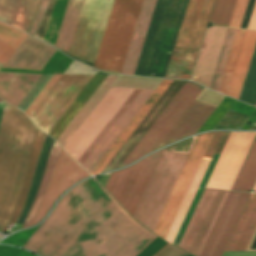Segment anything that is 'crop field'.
Here are the masks:
<instances>
[{
	"label": "crop field",
	"instance_id": "crop-field-1",
	"mask_svg": "<svg viewBox=\"0 0 256 256\" xmlns=\"http://www.w3.org/2000/svg\"><path fill=\"white\" fill-rule=\"evenodd\" d=\"M156 237L92 178L61 199L23 248L40 256H137Z\"/></svg>",
	"mask_w": 256,
	"mask_h": 256
},
{
	"label": "crop field",
	"instance_id": "crop-field-2",
	"mask_svg": "<svg viewBox=\"0 0 256 256\" xmlns=\"http://www.w3.org/2000/svg\"><path fill=\"white\" fill-rule=\"evenodd\" d=\"M213 133L214 132L199 135L189 155L187 153L163 151L159 158L154 172L133 215L135 219H137L142 225L150 230H153L164 207V204L170 194V191L176 181V178L182 168V165L188 155L177 178V181L171 191V194L165 204V207L159 217V220L153 230V232L162 239H165L170 229V226L175 218V215L181 205V202L186 194V191L192 181V178L197 170V167L203 157V154ZM223 133L224 132H215L209 143L204 157L165 239L169 243H172L178 231V228L185 216V213L191 203V200L198 188V185Z\"/></svg>",
	"mask_w": 256,
	"mask_h": 256
},
{
	"label": "crop field",
	"instance_id": "crop-field-3",
	"mask_svg": "<svg viewBox=\"0 0 256 256\" xmlns=\"http://www.w3.org/2000/svg\"><path fill=\"white\" fill-rule=\"evenodd\" d=\"M143 89L110 87L94 110L63 147L80 165H84L108 136ZM154 90H144L109 136L83 166L90 172Z\"/></svg>",
	"mask_w": 256,
	"mask_h": 256
},
{
	"label": "crop field",
	"instance_id": "crop-field-4",
	"mask_svg": "<svg viewBox=\"0 0 256 256\" xmlns=\"http://www.w3.org/2000/svg\"><path fill=\"white\" fill-rule=\"evenodd\" d=\"M36 131L22 112L7 105L0 130V227L6 228L15 209Z\"/></svg>",
	"mask_w": 256,
	"mask_h": 256
},
{
	"label": "crop field",
	"instance_id": "crop-field-5",
	"mask_svg": "<svg viewBox=\"0 0 256 256\" xmlns=\"http://www.w3.org/2000/svg\"><path fill=\"white\" fill-rule=\"evenodd\" d=\"M189 0H157L134 75L164 77Z\"/></svg>",
	"mask_w": 256,
	"mask_h": 256
},
{
	"label": "crop field",
	"instance_id": "crop-field-6",
	"mask_svg": "<svg viewBox=\"0 0 256 256\" xmlns=\"http://www.w3.org/2000/svg\"><path fill=\"white\" fill-rule=\"evenodd\" d=\"M143 0H115L94 67L120 73Z\"/></svg>",
	"mask_w": 256,
	"mask_h": 256
},
{
	"label": "crop field",
	"instance_id": "crop-field-7",
	"mask_svg": "<svg viewBox=\"0 0 256 256\" xmlns=\"http://www.w3.org/2000/svg\"><path fill=\"white\" fill-rule=\"evenodd\" d=\"M214 0H190L179 36L165 77L169 76L173 61L193 69ZM191 71L173 63L170 76L188 74ZM191 74L171 78L189 79Z\"/></svg>",
	"mask_w": 256,
	"mask_h": 256
},
{
	"label": "crop field",
	"instance_id": "crop-field-8",
	"mask_svg": "<svg viewBox=\"0 0 256 256\" xmlns=\"http://www.w3.org/2000/svg\"><path fill=\"white\" fill-rule=\"evenodd\" d=\"M97 0H85L70 45L69 54L79 57ZM113 0H98L80 59L94 63Z\"/></svg>",
	"mask_w": 256,
	"mask_h": 256
},
{
	"label": "crop field",
	"instance_id": "crop-field-9",
	"mask_svg": "<svg viewBox=\"0 0 256 256\" xmlns=\"http://www.w3.org/2000/svg\"><path fill=\"white\" fill-rule=\"evenodd\" d=\"M202 90L203 88L186 82L120 167L155 150Z\"/></svg>",
	"mask_w": 256,
	"mask_h": 256
},
{
	"label": "crop field",
	"instance_id": "crop-field-10",
	"mask_svg": "<svg viewBox=\"0 0 256 256\" xmlns=\"http://www.w3.org/2000/svg\"><path fill=\"white\" fill-rule=\"evenodd\" d=\"M162 150L128 168L113 172L109 178L105 189L131 216L137 207Z\"/></svg>",
	"mask_w": 256,
	"mask_h": 256
},
{
	"label": "crop field",
	"instance_id": "crop-field-11",
	"mask_svg": "<svg viewBox=\"0 0 256 256\" xmlns=\"http://www.w3.org/2000/svg\"><path fill=\"white\" fill-rule=\"evenodd\" d=\"M92 76L62 75L30 117L40 128L49 132ZM35 123L39 130L48 133Z\"/></svg>",
	"mask_w": 256,
	"mask_h": 256
},
{
	"label": "crop field",
	"instance_id": "crop-field-12",
	"mask_svg": "<svg viewBox=\"0 0 256 256\" xmlns=\"http://www.w3.org/2000/svg\"><path fill=\"white\" fill-rule=\"evenodd\" d=\"M229 192L205 189L179 248L199 256Z\"/></svg>",
	"mask_w": 256,
	"mask_h": 256
},
{
	"label": "crop field",
	"instance_id": "crop-field-13",
	"mask_svg": "<svg viewBox=\"0 0 256 256\" xmlns=\"http://www.w3.org/2000/svg\"><path fill=\"white\" fill-rule=\"evenodd\" d=\"M256 133L232 132L206 187L229 190Z\"/></svg>",
	"mask_w": 256,
	"mask_h": 256
},
{
	"label": "crop field",
	"instance_id": "crop-field-14",
	"mask_svg": "<svg viewBox=\"0 0 256 256\" xmlns=\"http://www.w3.org/2000/svg\"><path fill=\"white\" fill-rule=\"evenodd\" d=\"M250 194L230 192L200 256H221Z\"/></svg>",
	"mask_w": 256,
	"mask_h": 256
},
{
	"label": "crop field",
	"instance_id": "crop-field-15",
	"mask_svg": "<svg viewBox=\"0 0 256 256\" xmlns=\"http://www.w3.org/2000/svg\"><path fill=\"white\" fill-rule=\"evenodd\" d=\"M87 177L90 176L61 150L48 190L31 226L37 224L45 217L46 213L65 190Z\"/></svg>",
	"mask_w": 256,
	"mask_h": 256
},
{
	"label": "crop field",
	"instance_id": "crop-field-16",
	"mask_svg": "<svg viewBox=\"0 0 256 256\" xmlns=\"http://www.w3.org/2000/svg\"><path fill=\"white\" fill-rule=\"evenodd\" d=\"M227 29L211 27L206 30L191 80L209 87Z\"/></svg>",
	"mask_w": 256,
	"mask_h": 256
},
{
	"label": "crop field",
	"instance_id": "crop-field-17",
	"mask_svg": "<svg viewBox=\"0 0 256 256\" xmlns=\"http://www.w3.org/2000/svg\"><path fill=\"white\" fill-rule=\"evenodd\" d=\"M184 83L185 82L173 81V83L170 85V87L167 89L164 95L160 98V100L156 103L153 109L149 112V114L145 117V119L141 122V124L137 127V129L133 132V134L122 146V148L118 151V153L114 156V158L103 170V172L116 169L119 167V165L127 157L130 151L134 148V146L138 143V141L150 128L153 122L157 119V117L161 114V112L173 99L176 93L184 85Z\"/></svg>",
	"mask_w": 256,
	"mask_h": 256
},
{
	"label": "crop field",
	"instance_id": "crop-field-18",
	"mask_svg": "<svg viewBox=\"0 0 256 256\" xmlns=\"http://www.w3.org/2000/svg\"><path fill=\"white\" fill-rule=\"evenodd\" d=\"M236 30L237 29H233V28L228 29V32H227L220 56H219V60H218V63H217L210 87H209L210 89L217 90V87H218L228 54H229ZM245 32L246 31H244V30H240V29L237 30V33H236L226 66H225V69H224V72H223V75H222V78H221V81H220V84H219V87L217 90L218 92H220L224 95L226 94V91H227V88H228V85L230 82V78H231V75H232V72H233V69H234L240 48H241V44H242V41H243V38L245 35Z\"/></svg>",
	"mask_w": 256,
	"mask_h": 256
},
{
	"label": "crop field",
	"instance_id": "crop-field-19",
	"mask_svg": "<svg viewBox=\"0 0 256 256\" xmlns=\"http://www.w3.org/2000/svg\"><path fill=\"white\" fill-rule=\"evenodd\" d=\"M54 52L53 48L27 35L3 67L41 70Z\"/></svg>",
	"mask_w": 256,
	"mask_h": 256
},
{
	"label": "crop field",
	"instance_id": "crop-field-20",
	"mask_svg": "<svg viewBox=\"0 0 256 256\" xmlns=\"http://www.w3.org/2000/svg\"><path fill=\"white\" fill-rule=\"evenodd\" d=\"M214 109L213 106L195 100L158 148L197 133Z\"/></svg>",
	"mask_w": 256,
	"mask_h": 256
},
{
	"label": "crop field",
	"instance_id": "crop-field-21",
	"mask_svg": "<svg viewBox=\"0 0 256 256\" xmlns=\"http://www.w3.org/2000/svg\"><path fill=\"white\" fill-rule=\"evenodd\" d=\"M41 76L0 72V98L17 107Z\"/></svg>",
	"mask_w": 256,
	"mask_h": 256
},
{
	"label": "crop field",
	"instance_id": "crop-field-22",
	"mask_svg": "<svg viewBox=\"0 0 256 256\" xmlns=\"http://www.w3.org/2000/svg\"><path fill=\"white\" fill-rule=\"evenodd\" d=\"M172 81L163 80L162 83L158 86L155 92L151 95V97L147 100L144 106L140 109V111L136 114L133 120L129 123V125L125 128V130L121 133L118 139L114 142V144L110 147L107 153L103 156V158L99 161L96 167L92 170L90 174L96 175L102 172L105 166L109 163V161L113 158L116 152L120 149V147L124 144L127 138L131 135V133L135 130L138 124L142 121V119L146 116L149 110L153 107V105L157 102L160 96L164 93V91L168 88Z\"/></svg>",
	"mask_w": 256,
	"mask_h": 256
},
{
	"label": "crop field",
	"instance_id": "crop-field-23",
	"mask_svg": "<svg viewBox=\"0 0 256 256\" xmlns=\"http://www.w3.org/2000/svg\"><path fill=\"white\" fill-rule=\"evenodd\" d=\"M256 228V194H251L224 251H245Z\"/></svg>",
	"mask_w": 256,
	"mask_h": 256
},
{
	"label": "crop field",
	"instance_id": "crop-field-24",
	"mask_svg": "<svg viewBox=\"0 0 256 256\" xmlns=\"http://www.w3.org/2000/svg\"><path fill=\"white\" fill-rule=\"evenodd\" d=\"M41 0H0V20L27 31Z\"/></svg>",
	"mask_w": 256,
	"mask_h": 256
},
{
	"label": "crop field",
	"instance_id": "crop-field-25",
	"mask_svg": "<svg viewBox=\"0 0 256 256\" xmlns=\"http://www.w3.org/2000/svg\"><path fill=\"white\" fill-rule=\"evenodd\" d=\"M156 0H144L121 74L133 75Z\"/></svg>",
	"mask_w": 256,
	"mask_h": 256
},
{
	"label": "crop field",
	"instance_id": "crop-field-26",
	"mask_svg": "<svg viewBox=\"0 0 256 256\" xmlns=\"http://www.w3.org/2000/svg\"><path fill=\"white\" fill-rule=\"evenodd\" d=\"M256 43V32L247 31L231 78L227 96L239 98L248 65Z\"/></svg>",
	"mask_w": 256,
	"mask_h": 256
},
{
	"label": "crop field",
	"instance_id": "crop-field-27",
	"mask_svg": "<svg viewBox=\"0 0 256 256\" xmlns=\"http://www.w3.org/2000/svg\"><path fill=\"white\" fill-rule=\"evenodd\" d=\"M117 77L118 76L108 74L107 77L100 84V86L96 89V91L92 94V96L81 108V110L65 128L62 134L56 140L62 147L71 137V135L75 132V130L79 127V125L83 122V120L87 117V115L94 108V106L98 103V101L102 98V96L105 94L108 88L117 79Z\"/></svg>",
	"mask_w": 256,
	"mask_h": 256
},
{
	"label": "crop field",
	"instance_id": "crop-field-28",
	"mask_svg": "<svg viewBox=\"0 0 256 256\" xmlns=\"http://www.w3.org/2000/svg\"><path fill=\"white\" fill-rule=\"evenodd\" d=\"M106 75L107 74L105 73H96V75L92 78V80L88 83L85 89L81 92V94L77 97V99L73 102V104L69 107V109L65 112V114L61 117V119L58 121V123L54 126V128L50 131L48 135H50L55 140L57 139V137L61 134L64 128L68 125V123L80 110L83 104L87 101V99L99 86L102 80L106 77Z\"/></svg>",
	"mask_w": 256,
	"mask_h": 256
},
{
	"label": "crop field",
	"instance_id": "crop-field-29",
	"mask_svg": "<svg viewBox=\"0 0 256 256\" xmlns=\"http://www.w3.org/2000/svg\"><path fill=\"white\" fill-rule=\"evenodd\" d=\"M256 182V136L230 190L248 192Z\"/></svg>",
	"mask_w": 256,
	"mask_h": 256
},
{
	"label": "crop field",
	"instance_id": "crop-field-30",
	"mask_svg": "<svg viewBox=\"0 0 256 256\" xmlns=\"http://www.w3.org/2000/svg\"><path fill=\"white\" fill-rule=\"evenodd\" d=\"M53 141L54 140L49 136H46V138L44 140V143L41 147L37 167H36L33 179H32V183H31L28 195H27V199H26L23 211H22L17 223H22V224L24 223L25 216H26V214H27L32 202H33V199L36 195V192H37V189L39 187L40 181L42 179L43 172H44V169H45V165H46L48 155H49V152H50Z\"/></svg>",
	"mask_w": 256,
	"mask_h": 256
},
{
	"label": "crop field",
	"instance_id": "crop-field-31",
	"mask_svg": "<svg viewBox=\"0 0 256 256\" xmlns=\"http://www.w3.org/2000/svg\"><path fill=\"white\" fill-rule=\"evenodd\" d=\"M83 0H70L59 32L56 47L67 52Z\"/></svg>",
	"mask_w": 256,
	"mask_h": 256
},
{
	"label": "crop field",
	"instance_id": "crop-field-32",
	"mask_svg": "<svg viewBox=\"0 0 256 256\" xmlns=\"http://www.w3.org/2000/svg\"><path fill=\"white\" fill-rule=\"evenodd\" d=\"M61 75L62 74H53L52 76V74H46V75H43L42 78L40 77L41 79L37 82V84L33 87V89L28 93V95L24 98V100L19 104L18 108L24 111L52 76V78L45 85L42 91L38 94V96L34 99V101L28 106V108L24 111L29 117L30 114L34 111V109L45 97V95L57 82V80L60 78Z\"/></svg>",
	"mask_w": 256,
	"mask_h": 256
},
{
	"label": "crop field",
	"instance_id": "crop-field-33",
	"mask_svg": "<svg viewBox=\"0 0 256 256\" xmlns=\"http://www.w3.org/2000/svg\"><path fill=\"white\" fill-rule=\"evenodd\" d=\"M45 136H46V134H44L40 131L37 132L36 139H35V142H34V146H33L31 156H30V159H29L25 179H24L23 186H22L20 196H19V199H18V203H17L16 209L13 213V216L10 220V223H16V221H17V219H18V217H19V215L22 211V208H23V205H24V202H25V198H26V195H27V192H28V189H29V185H30V182H31V178H32V175H33V172H34V168H35V165H36V161H37V158H38L39 150H40V147L43 143V140H44Z\"/></svg>",
	"mask_w": 256,
	"mask_h": 256
},
{
	"label": "crop field",
	"instance_id": "crop-field-34",
	"mask_svg": "<svg viewBox=\"0 0 256 256\" xmlns=\"http://www.w3.org/2000/svg\"><path fill=\"white\" fill-rule=\"evenodd\" d=\"M61 148L58 146V144L56 142H54L53 146H52V149H51V152H50V156H49V159H48V162H47V165H46V169H45V172H44V176H43V179H42V182L40 184V187H39V190L37 192V195L35 197V200L32 204V207L26 217V220H25V223L22 227L23 228H27L30 226L31 224V221L45 195V192H46V189L48 187V184H49V181L51 179V176H52V172H53V168H54V165L58 159V155H59V152H60Z\"/></svg>",
	"mask_w": 256,
	"mask_h": 256
},
{
	"label": "crop field",
	"instance_id": "crop-field-35",
	"mask_svg": "<svg viewBox=\"0 0 256 256\" xmlns=\"http://www.w3.org/2000/svg\"><path fill=\"white\" fill-rule=\"evenodd\" d=\"M26 34L0 22V63L4 64ZM27 37V36H26Z\"/></svg>",
	"mask_w": 256,
	"mask_h": 256
},
{
	"label": "crop field",
	"instance_id": "crop-field-36",
	"mask_svg": "<svg viewBox=\"0 0 256 256\" xmlns=\"http://www.w3.org/2000/svg\"><path fill=\"white\" fill-rule=\"evenodd\" d=\"M68 1L69 0H56L45 36L43 39L44 41L52 45H55Z\"/></svg>",
	"mask_w": 256,
	"mask_h": 256
},
{
	"label": "crop field",
	"instance_id": "crop-field-37",
	"mask_svg": "<svg viewBox=\"0 0 256 256\" xmlns=\"http://www.w3.org/2000/svg\"><path fill=\"white\" fill-rule=\"evenodd\" d=\"M239 99L256 105V46Z\"/></svg>",
	"mask_w": 256,
	"mask_h": 256
},
{
	"label": "crop field",
	"instance_id": "crop-field-38",
	"mask_svg": "<svg viewBox=\"0 0 256 256\" xmlns=\"http://www.w3.org/2000/svg\"><path fill=\"white\" fill-rule=\"evenodd\" d=\"M236 0H216L209 22L217 26H229Z\"/></svg>",
	"mask_w": 256,
	"mask_h": 256
},
{
	"label": "crop field",
	"instance_id": "crop-field-39",
	"mask_svg": "<svg viewBox=\"0 0 256 256\" xmlns=\"http://www.w3.org/2000/svg\"><path fill=\"white\" fill-rule=\"evenodd\" d=\"M231 132H225L215 153L220 154ZM220 155L215 154L199 187H205Z\"/></svg>",
	"mask_w": 256,
	"mask_h": 256
},
{
	"label": "crop field",
	"instance_id": "crop-field-40",
	"mask_svg": "<svg viewBox=\"0 0 256 256\" xmlns=\"http://www.w3.org/2000/svg\"><path fill=\"white\" fill-rule=\"evenodd\" d=\"M203 190L204 189H201V188L198 189V191H197V193H196V195L194 197V200H193V202H192V204H191V206L189 208V211H188V213H187V215H186V217L184 219V222H183V224H182V226H181V228L179 230V233H178L174 243L179 244V242H180V240L182 238V235H183V233H184V231H185V229H186V227L188 225V222H189V220H190V218H191V216L193 214V211H194V209H195V207H196V205H197V203L199 201V198H200ZM174 243H173V245H175ZM175 246H177V245H175Z\"/></svg>",
	"mask_w": 256,
	"mask_h": 256
},
{
	"label": "crop field",
	"instance_id": "crop-field-41",
	"mask_svg": "<svg viewBox=\"0 0 256 256\" xmlns=\"http://www.w3.org/2000/svg\"><path fill=\"white\" fill-rule=\"evenodd\" d=\"M248 0H237L229 27L239 28Z\"/></svg>",
	"mask_w": 256,
	"mask_h": 256
},
{
	"label": "crop field",
	"instance_id": "crop-field-42",
	"mask_svg": "<svg viewBox=\"0 0 256 256\" xmlns=\"http://www.w3.org/2000/svg\"><path fill=\"white\" fill-rule=\"evenodd\" d=\"M184 253L185 252L181 251L180 249L167 243L153 256H182Z\"/></svg>",
	"mask_w": 256,
	"mask_h": 256
},
{
	"label": "crop field",
	"instance_id": "crop-field-43",
	"mask_svg": "<svg viewBox=\"0 0 256 256\" xmlns=\"http://www.w3.org/2000/svg\"><path fill=\"white\" fill-rule=\"evenodd\" d=\"M49 1L50 0H43L42 1L41 5H40V8H39V10L37 12V15L35 17V20H34V22L32 24V27H31V29L29 31L30 34L35 35V32H36V30H37V28L39 26V23H40V21L42 19V16H43V14H44V12L46 10V7H47Z\"/></svg>",
	"mask_w": 256,
	"mask_h": 256
},
{
	"label": "crop field",
	"instance_id": "crop-field-44",
	"mask_svg": "<svg viewBox=\"0 0 256 256\" xmlns=\"http://www.w3.org/2000/svg\"><path fill=\"white\" fill-rule=\"evenodd\" d=\"M254 3H255V0H249L247 8H246V11H245V15H244V18H243V21H242V24H241L240 28H243V29L247 28V25H248V22H249V18H250V15H251Z\"/></svg>",
	"mask_w": 256,
	"mask_h": 256
},
{
	"label": "crop field",
	"instance_id": "crop-field-45",
	"mask_svg": "<svg viewBox=\"0 0 256 256\" xmlns=\"http://www.w3.org/2000/svg\"><path fill=\"white\" fill-rule=\"evenodd\" d=\"M247 29H254L256 30V3L250 18V22Z\"/></svg>",
	"mask_w": 256,
	"mask_h": 256
},
{
	"label": "crop field",
	"instance_id": "crop-field-46",
	"mask_svg": "<svg viewBox=\"0 0 256 256\" xmlns=\"http://www.w3.org/2000/svg\"><path fill=\"white\" fill-rule=\"evenodd\" d=\"M5 107L6 106H4L0 103V125H1V122H2L3 115H4Z\"/></svg>",
	"mask_w": 256,
	"mask_h": 256
},
{
	"label": "crop field",
	"instance_id": "crop-field-47",
	"mask_svg": "<svg viewBox=\"0 0 256 256\" xmlns=\"http://www.w3.org/2000/svg\"><path fill=\"white\" fill-rule=\"evenodd\" d=\"M254 124H256V123H254ZM253 126H256V125H253ZM251 129H256V127H251Z\"/></svg>",
	"mask_w": 256,
	"mask_h": 256
},
{
	"label": "crop field",
	"instance_id": "crop-field-48",
	"mask_svg": "<svg viewBox=\"0 0 256 256\" xmlns=\"http://www.w3.org/2000/svg\"><path fill=\"white\" fill-rule=\"evenodd\" d=\"M255 191H256V187H255V189H254Z\"/></svg>",
	"mask_w": 256,
	"mask_h": 256
}]
</instances>
